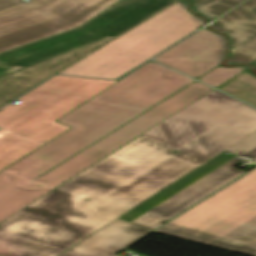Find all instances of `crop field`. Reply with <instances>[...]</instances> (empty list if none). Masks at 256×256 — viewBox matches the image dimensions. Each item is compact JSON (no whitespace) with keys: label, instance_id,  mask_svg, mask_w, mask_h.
Returning a JSON list of instances; mask_svg holds the SVG:
<instances>
[{"label":"crop field","instance_id":"crop-field-1","mask_svg":"<svg viewBox=\"0 0 256 256\" xmlns=\"http://www.w3.org/2000/svg\"><path fill=\"white\" fill-rule=\"evenodd\" d=\"M207 161L141 136L1 222L0 256H57Z\"/></svg>","mask_w":256,"mask_h":256},{"label":"crop field","instance_id":"crop-field-2","mask_svg":"<svg viewBox=\"0 0 256 256\" xmlns=\"http://www.w3.org/2000/svg\"><path fill=\"white\" fill-rule=\"evenodd\" d=\"M192 81L149 62L58 120L72 129L0 172V222L212 90L196 82L84 149Z\"/></svg>","mask_w":256,"mask_h":256},{"label":"crop field","instance_id":"crop-field-3","mask_svg":"<svg viewBox=\"0 0 256 256\" xmlns=\"http://www.w3.org/2000/svg\"><path fill=\"white\" fill-rule=\"evenodd\" d=\"M116 82L54 76L2 109L0 171L71 129L55 121Z\"/></svg>","mask_w":256,"mask_h":256},{"label":"crop field","instance_id":"crop-field-4","mask_svg":"<svg viewBox=\"0 0 256 256\" xmlns=\"http://www.w3.org/2000/svg\"><path fill=\"white\" fill-rule=\"evenodd\" d=\"M156 232L256 256V169Z\"/></svg>","mask_w":256,"mask_h":256},{"label":"crop field","instance_id":"crop-field-5","mask_svg":"<svg viewBox=\"0 0 256 256\" xmlns=\"http://www.w3.org/2000/svg\"><path fill=\"white\" fill-rule=\"evenodd\" d=\"M255 131L256 109L215 90L144 136L210 159Z\"/></svg>","mask_w":256,"mask_h":256},{"label":"crop field","instance_id":"crop-field-6","mask_svg":"<svg viewBox=\"0 0 256 256\" xmlns=\"http://www.w3.org/2000/svg\"><path fill=\"white\" fill-rule=\"evenodd\" d=\"M202 26L178 2L58 74L117 79Z\"/></svg>","mask_w":256,"mask_h":256},{"label":"crop field","instance_id":"crop-field-7","mask_svg":"<svg viewBox=\"0 0 256 256\" xmlns=\"http://www.w3.org/2000/svg\"><path fill=\"white\" fill-rule=\"evenodd\" d=\"M176 0H123L81 28L0 55V77L106 38H116Z\"/></svg>","mask_w":256,"mask_h":256},{"label":"crop field","instance_id":"crop-field-8","mask_svg":"<svg viewBox=\"0 0 256 256\" xmlns=\"http://www.w3.org/2000/svg\"><path fill=\"white\" fill-rule=\"evenodd\" d=\"M119 0H0V53L78 27Z\"/></svg>","mask_w":256,"mask_h":256},{"label":"crop field","instance_id":"crop-field-9","mask_svg":"<svg viewBox=\"0 0 256 256\" xmlns=\"http://www.w3.org/2000/svg\"><path fill=\"white\" fill-rule=\"evenodd\" d=\"M224 52V39L204 29L156 57L155 61L196 78L219 65Z\"/></svg>","mask_w":256,"mask_h":256},{"label":"crop field","instance_id":"crop-field-10","mask_svg":"<svg viewBox=\"0 0 256 256\" xmlns=\"http://www.w3.org/2000/svg\"><path fill=\"white\" fill-rule=\"evenodd\" d=\"M239 159L240 158L236 157L217 168L180 193L135 220L133 223L154 230L160 226L162 222L173 218L185 209L244 174L246 171L233 168L237 165L235 162Z\"/></svg>","mask_w":256,"mask_h":256},{"label":"crop field","instance_id":"crop-field-11","mask_svg":"<svg viewBox=\"0 0 256 256\" xmlns=\"http://www.w3.org/2000/svg\"><path fill=\"white\" fill-rule=\"evenodd\" d=\"M212 25L231 37L236 51L227 64H250L256 60V0L247 1Z\"/></svg>","mask_w":256,"mask_h":256},{"label":"crop field","instance_id":"crop-field-12","mask_svg":"<svg viewBox=\"0 0 256 256\" xmlns=\"http://www.w3.org/2000/svg\"><path fill=\"white\" fill-rule=\"evenodd\" d=\"M113 41L108 39L71 54L22 70L0 80V105L11 101L44 79L69 67L92 52Z\"/></svg>","mask_w":256,"mask_h":256},{"label":"crop field","instance_id":"crop-field-13","mask_svg":"<svg viewBox=\"0 0 256 256\" xmlns=\"http://www.w3.org/2000/svg\"><path fill=\"white\" fill-rule=\"evenodd\" d=\"M151 231L117 219L60 256H116L115 253Z\"/></svg>","mask_w":256,"mask_h":256},{"label":"crop field","instance_id":"crop-field-14","mask_svg":"<svg viewBox=\"0 0 256 256\" xmlns=\"http://www.w3.org/2000/svg\"><path fill=\"white\" fill-rule=\"evenodd\" d=\"M218 89L256 106V78L246 71Z\"/></svg>","mask_w":256,"mask_h":256},{"label":"crop field","instance_id":"crop-field-15","mask_svg":"<svg viewBox=\"0 0 256 256\" xmlns=\"http://www.w3.org/2000/svg\"><path fill=\"white\" fill-rule=\"evenodd\" d=\"M194 9L206 16L209 21L224 14L244 0H193Z\"/></svg>","mask_w":256,"mask_h":256},{"label":"crop field","instance_id":"crop-field-16","mask_svg":"<svg viewBox=\"0 0 256 256\" xmlns=\"http://www.w3.org/2000/svg\"><path fill=\"white\" fill-rule=\"evenodd\" d=\"M244 69H246V67L238 66L232 68H223L219 66L208 74L201 77L199 80L216 88L225 81L242 72Z\"/></svg>","mask_w":256,"mask_h":256},{"label":"crop field","instance_id":"crop-field-17","mask_svg":"<svg viewBox=\"0 0 256 256\" xmlns=\"http://www.w3.org/2000/svg\"><path fill=\"white\" fill-rule=\"evenodd\" d=\"M226 151L238 156L245 155L253 158L254 162H256V132L233 145Z\"/></svg>","mask_w":256,"mask_h":256},{"label":"crop field","instance_id":"crop-field-18","mask_svg":"<svg viewBox=\"0 0 256 256\" xmlns=\"http://www.w3.org/2000/svg\"><path fill=\"white\" fill-rule=\"evenodd\" d=\"M251 64L256 65V61H255V62H253V63H251Z\"/></svg>","mask_w":256,"mask_h":256},{"label":"crop field","instance_id":"crop-field-19","mask_svg":"<svg viewBox=\"0 0 256 256\" xmlns=\"http://www.w3.org/2000/svg\"><path fill=\"white\" fill-rule=\"evenodd\" d=\"M5 105H6V104H5ZM3 106H4V105H3ZM3 106H1V107H3ZM1 107H0V108H1Z\"/></svg>","mask_w":256,"mask_h":256}]
</instances>
